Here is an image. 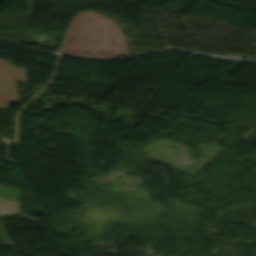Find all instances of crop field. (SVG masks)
<instances>
[{
    "mask_svg": "<svg viewBox=\"0 0 256 256\" xmlns=\"http://www.w3.org/2000/svg\"><path fill=\"white\" fill-rule=\"evenodd\" d=\"M15 80L27 81V69L0 60V94L18 95Z\"/></svg>",
    "mask_w": 256,
    "mask_h": 256,
    "instance_id": "8a807250",
    "label": "crop field"
},
{
    "mask_svg": "<svg viewBox=\"0 0 256 256\" xmlns=\"http://www.w3.org/2000/svg\"><path fill=\"white\" fill-rule=\"evenodd\" d=\"M18 102V96H0V109H7V105Z\"/></svg>",
    "mask_w": 256,
    "mask_h": 256,
    "instance_id": "ac0d7876",
    "label": "crop field"
}]
</instances>
